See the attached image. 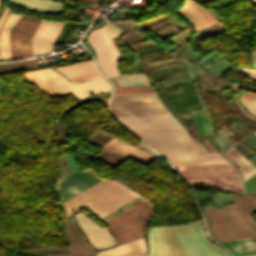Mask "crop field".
<instances>
[{"label": "crop field", "instance_id": "obj_1", "mask_svg": "<svg viewBox=\"0 0 256 256\" xmlns=\"http://www.w3.org/2000/svg\"><path fill=\"white\" fill-rule=\"evenodd\" d=\"M148 235V256H229L205 238L201 221L174 227H152Z\"/></svg>", "mask_w": 256, "mask_h": 256}, {"label": "crop field", "instance_id": "obj_2", "mask_svg": "<svg viewBox=\"0 0 256 256\" xmlns=\"http://www.w3.org/2000/svg\"><path fill=\"white\" fill-rule=\"evenodd\" d=\"M231 202L235 203L220 210L203 208L212 237L219 242L255 237L256 224L250 216L256 212V193L231 194Z\"/></svg>", "mask_w": 256, "mask_h": 256}, {"label": "crop field", "instance_id": "obj_3", "mask_svg": "<svg viewBox=\"0 0 256 256\" xmlns=\"http://www.w3.org/2000/svg\"><path fill=\"white\" fill-rule=\"evenodd\" d=\"M137 196L115 181L102 180L63 206L67 216L84 207L100 218Z\"/></svg>", "mask_w": 256, "mask_h": 256}, {"label": "crop field", "instance_id": "obj_4", "mask_svg": "<svg viewBox=\"0 0 256 256\" xmlns=\"http://www.w3.org/2000/svg\"><path fill=\"white\" fill-rule=\"evenodd\" d=\"M23 78L51 96L64 95L70 92L76 98L81 99L111 90V85L100 75L68 81L51 68L27 72Z\"/></svg>", "mask_w": 256, "mask_h": 256}, {"label": "crop field", "instance_id": "obj_5", "mask_svg": "<svg viewBox=\"0 0 256 256\" xmlns=\"http://www.w3.org/2000/svg\"><path fill=\"white\" fill-rule=\"evenodd\" d=\"M152 211L153 207L144 199L105 223L123 244L142 237L141 231Z\"/></svg>", "mask_w": 256, "mask_h": 256}, {"label": "crop field", "instance_id": "obj_6", "mask_svg": "<svg viewBox=\"0 0 256 256\" xmlns=\"http://www.w3.org/2000/svg\"><path fill=\"white\" fill-rule=\"evenodd\" d=\"M110 109L114 116L169 113L156 93L114 96Z\"/></svg>", "mask_w": 256, "mask_h": 256}, {"label": "crop field", "instance_id": "obj_7", "mask_svg": "<svg viewBox=\"0 0 256 256\" xmlns=\"http://www.w3.org/2000/svg\"><path fill=\"white\" fill-rule=\"evenodd\" d=\"M88 41L96 51L98 56L97 63L105 75L110 76L118 74L116 65L119 62L120 54L103 27L92 31L88 36Z\"/></svg>", "mask_w": 256, "mask_h": 256}, {"label": "crop field", "instance_id": "obj_8", "mask_svg": "<svg viewBox=\"0 0 256 256\" xmlns=\"http://www.w3.org/2000/svg\"><path fill=\"white\" fill-rule=\"evenodd\" d=\"M40 23L41 20L21 16L9 37L12 58L33 56L31 39Z\"/></svg>", "mask_w": 256, "mask_h": 256}, {"label": "crop field", "instance_id": "obj_9", "mask_svg": "<svg viewBox=\"0 0 256 256\" xmlns=\"http://www.w3.org/2000/svg\"><path fill=\"white\" fill-rule=\"evenodd\" d=\"M100 180L91 170L69 173L56 183V190L62 202H65Z\"/></svg>", "mask_w": 256, "mask_h": 256}, {"label": "crop field", "instance_id": "obj_10", "mask_svg": "<svg viewBox=\"0 0 256 256\" xmlns=\"http://www.w3.org/2000/svg\"><path fill=\"white\" fill-rule=\"evenodd\" d=\"M129 130L182 127L171 114L115 117Z\"/></svg>", "mask_w": 256, "mask_h": 256}, {"label": "crop field", "instance_id": "obj_11", "mask_svg": "<svg viewBox=\"0 0 256 256\" xmlns=\"http://www.w3.org/2000/svg\"><path fill=\"white\" fill-rule=\"evenodd\" d=\"M65 235L68 239L72 252L51 256H95L96 252L89 246L80 232L77 230L73 216L64 220Z\"/></svg>", "mask_w": 256, "mask_h": 256}, {"label": "crop field", "instance_id": "obj_12", "mask_svg": "<svg viewBox=\"0 0 256 256\" xmlns=\"http://www.w3.org/2000/svg\"><path fill=\"white\" fill-rule=\"evenodd\" d=\"M175 12L180 17L184 18L190 25H192L195 30L218 22L202 7L190 0H185V4Z\"/></svg>", "mask_w": 256, "mask_h": 256}, {"label": "crop field", "instance_id": "obj_13", "mask_svg": "<svg viewBox=\"0 0 256 256\" xmlns=\"http://www.w3.org/2000/svg\"><path fill=\"white\" fill-rule=\"evenodd\" d=\"M75 218L81 225L90 242L96 248H105L115 244L106 228L98 227L90 219H88L85 215L81 213L76 214Z\"/></svg>", "mask_w": 256, "mask_h": 256}, {"label": "crop field", "instance_id": "obj_14", "mask_svg": "<svg viewBox=\"0 0 256 256\" xmlns=\"http://www.w3.org/2000/svg\"><path fill=\"white\" fill-rule=\"evenodd\" d=\"M102 149H105V150H108V151H111V152H114L117 154H121L124 156H128L146 166L150 162H152L155 158H157V157L147 153L146 151H144L136 146L133 147L115 137L112 140H110L105 146H103Z\"/></svg>", "mask_w": 256, "mask_h": 256}, {"label": "crop field", "instance_id": "obj_15", "mask_svg": "<svg viewBox=\"0 0 256 256\" xmlns=\"http://www.w3.org/2000/svg\"><path fill=\"white\" fill-rule=\"evenodd\" d=\"M13 4L24 7L33 12L47 15H59L63 5L52 0H9Z\"/></svg>", "mask_w": 256, "mask_h": 256}, {"label": "crop field", "instance_id": "obj_16", "mask_svg": "<svg viewBox=\"0 0 256 256\" xmlns=\"http://www.w3.org/2000/svg\"><path fill=\"white\" fill-rule=\"evenodd\" d=\"M8 13V8L5 7L1 17H0V27L3 24ZM20 16L9 14L2 31L0 33V59L11 58L8 35L11 28L17 22Z\"/></svg>", "mask_w": 256, "mask_h": 256}, {"label": "crop field", "instance_id": "obj_17", "mask_svg": "<svg viewBox=\"0 0 256 256\" xmlns=\"http://www.w3.org/2000/svg\"><path fill=\"white\" fill-rule=\"evenodd\" d=\"M114 82L116 83L117 86L149 84L147 78L121 79V80H114ZM149 92H155L150 85L125 86V87H116L115 95L149 93Z\"/></svg>", "mask_w": 256, "mask_h": 256}, {"label": "crop field", "instance_id": "obj_18", "mask_svg": "<svg viewBox=\"0 0 256 256\" xmlns=\"http://www.w3.org/2000/svg\"><path fill=\"white\" fill-rule=\"evenodd\" d=\"M57 69L61 71L69 80L99 74L92 60L82 62V63L72 64V65L57 67Z\"/></svg>", "mask_w": 256, "mask_h": 256}, {"label": "crop field", "instance_id": "obj_19", "mask_svg": "<svg viewBox=\"0 0 256 256\" xmlns=\"http://www.w3.org/2000/svg\"><path fill=\"white\" fill-rule=\"evenodd\" d=\"M225 156L239 166L243 180L256 173V167L253 166L242 154L234 147L224 152Z\"/></svg>", "mask_w": 256, "mask_h": 256}, {"label": "crop field", "instance_id": "obj_20", "mask_svg": "<svg viewBox=\"0 0 256 256\" xmlns=\"http://www.w3.org/2000/svg\"><path fill=\"white\" fill-rule=\"evenodd\" d=\"M223 244H225L235 256L256 253V238L223 242Z\"/></svg>", "mask_w": 256, "mask_h": 256}, {"label": "crop field", "instance_id": "obj_21", "mask_svg": "<svg viewBox=\"0 0 256 256\" xmlns=\"http://www.w3.org/2000/svg\"><path fill=\"white\" fill-rule=\"evenodd\" d=\"M179 89L180 90L162 95V98L165 100L166 103H169L177 99L198 95L195 83L191 85L179 87Z\"/></svg>", "mask_w": 256, "mask_h": 256}, {"label": "crop field", "instance_id": "obj_22", "mask_svg": "<svg viewBox=\"0 0 256 256\" xmlns=\"http://www.w3.org/2000/svg\"><path fill=\"white\" fill-rule=\"evenodd\" d=\"M34 67H40V64L37 62L36 59L18 63H4L0 64V73L23 70Z\"/></svg>", "mask_w": 256, "mask_h": 256}, {"label": "crop field", "instance_id": "obj_23", "mask_svg": "<svg viewBox=\"0 0 256 256\" xmlns=\"http://www.w3.org/2000/svg\"><path fill=\"white\" fill-rule=\"evenodd\" d=\"M175 67H179V65L165 67V68L156 69V70H151L150 73L157 72V71H162V70H166V69H170V68H175ZM184 72H185L184 69L182 67H179V68H175V69H170V70H166V71H162V72L153 73L151 75L154 79H156V78L170 76V75L184 73ZM185 75H188V74L184 73V74L165 77V78H161V79H157V80H163V79L174 78V77L185 76Z\"/></svg>", "mask_w": 256, "mask_h": 256}, {"label": "crop field", "instance_id": "obj_24", "mask_svg": "<svg viewBox=\"0 0 256 256\" xmlns=\"http://www.w3.org/2000/svg\"><path fill=\"white\" fill-rule=\"evenodd\" d=\"M199 113H200L201 118H202L203 129H204L205 133H209L210 132V130H209V119L207 117V114L204 111V109L199 110ZM191 115L194 119V124H195L196 128L198 129L199 133L203 135L204 133L202 131V127H201V124H200L198 114L196 112H193V113H191Z\"/></svg>", "mask_w": 256, "mask_h": 256}, {"label": "crop field", "instance_id": "obj_25", "mask_svg": "<svg viewBox=\"0 0 256 256\" xmlns=\"http://www.w3.org/2000/svg\"><path fill=\"white\" fill-rule=\"evenodd\" d=\"M247 92V91H246ZM241 103L253 115H256V94L247 92L240 96Z\"/></svg>", "mask_w": 256, "mask_h": 256}, {"label": "crop field", "instance_id": "obj_26", "mask_svg": "<svg viewBox=\"0 0 256 256\" xmlns=\"http://www.w3.org/2000/svg\"><path fill=\"white\" fill-rule=\"evenodd\" d=\"M76 26L77 24L66 23L63 30L61 31L59 36L56 38L54 43L64 44L65 42H67L70 35L75 30Z\"/></svg>", "mask_w": 256, "mask_h": 256}, {"label": "crop field", "instance_id": "obj_27", "mask_svg": "<svg viewBox=\"0 0 256 256\" xmlns=\"http://www.w3.org/2000/svg\"><path fill=\"white\" fill-rule=\"evenodd\" d=\"M191 98H193V97H191ZM185 99H189V98H185ZM185 99H181V100H185ZM181 100H178V101H181ZM198 100H200L199 97L193 98V99H189V100H185V101H181V102L174 101V102H177V103L171 102L173 104H169V107L171 108L173 106H177V105H181V104H185V103H190V102H194V101H198ZM201 104H202L201 101H199V102H195V103H190V104H185V105L173 107L172 109L173 110H179V109L193 107V106H197V105H201Z\"/></svg>", "mask_w": 256, "mask_h": 256}, {"label": "crop field", "instance_id": "obj_28", "mask_svg": "<svg viewBox=\"0 0 256 256\" xmlns=\"http://www.w3.org/2000/svg\"><path fill=\"white\" fill-rule=\"evenodd\" d=\"M163 48H164V46H160V47L148 48V49H143V50H137L136 52H137V54H139V53L149 52V51L163 49ZM166 54L167 53L165 50L153 52V53H149V54L139 55V56H137V60L156 57V56H162V55H166Z\"/></svg>", "mask_w": 256, "mask_h": 256}, {"label": "crop field", "instance_id": "obj_29", "mask_svg": "<svg viewBox=\"0 0 256 256\" xmlns=\"http://www.w3.org/2000/svg\"><path fill=\"white\" fill-rule=\"evenodd\" d=\"M142 199H144V198L139 196L100 219L105 222V221L109 220L110 218L114 217L115 215L119 214L120 212L124 211L125 209L129 208L130 206L134 205L135 203L139 202Z\"/></svg>", "mask_w": 256, "mask_h": 256}, {"label": "crop field", "instance_id": "obj_30", "mask_svg": "<svg viewBox=\"0 0 256 256\" xmlns=\"http://www.w3.org/2000/svg\"><path fill=\"white\" fill-rule=\"evenodd\" d=\"M252 56H253L254 67H256V52H252ZM238 72L250 79L256 80V69L241 67L238 69Z\"/></svg>", "mask_w": 256, "mask_h": 256}, {"label": "crop field", "instance_id": "obj_31", "mask_svg": "<svg viewBox=\"0 0 256 256\" xmlns=\"http://www.w3.org/2000/svg\"><path fill=\"white\" fill-rule=\"evenodd\" d=\"M104 29L107 31V33L109 34V36L112 38V40H116L118 39L122 34H124V32H122L120 29H118L115 25H113L112 23L107 24L105 26H103ZM105 31V32H106Z\"/></svg>", "mask_w": 256, "mask_h": 256}, {"label": "crop field", "instance_id": "obj_32", "mask_svg": "<svg viewBox=\"0 0 256 256\" xmlns=\"http://www.w3.org/2000/svg\"><path fill=\"white\" fill-rule=\"evenodd\" d=\"M218 58H220V57L215 51V52L211 53L210 55H208L207 57L200 60L197 64L201 65L202 67H204L206 69L212 62H214Z\"/></svg>", "mask_w": 256, "mask_h": 256}, {"label": "crop field", "instance_id": "obj_33", "mask_svg": "<svg viewBox=\"0 0 256 256\" xmlns=\"http://www.w3.org/2000/svg\"><path fill=\"white\" fill-rule=\"evenodd\" d=\"M232 86H233V90H234V92H235L236 105L238 106V108L242 111V113H243L246 117H248V118H250V119L256 121L255 118L251 117L250 115H248V114L243 110V108L240 106L239 101H238L237 87H245V86H241V85H232ZM247 88H249V87H247ZM251 89H253V88H251ZM255 90H256V89H255Z\"/></svg>", "mask_w": 256, "mask_h": 256}, {"label": "crop field", "instance_id": "obj_34", "mask_svg": "<svg viewBox=\"0 0 256 256\" xmlns=\"http://www.w3.org/2000/svg\"><path fill=\"white\" fill-rule=\"evenodd\" d=\"M217 137H218L219 141L221 142L223 149H226V148H228V147H230V146L234 145V143L230 142V141H229V140H227L224 136H222V137H223V139L225 140V142H226V143H227V145H228V147H227V145H226V143L224 142V140L222 139V137H221V135H220V132H219V131H218V133H217Z\"/></svg>", "mask_w": 256, "mask_h": 256}, {"label": "crop field", "instance_id": "obj_35", "mask_svg": "<svg viewBox=\"0 0 256 256\" xmlns=\"http://www.w3.org/2000/svg\"><path fill=\"white\" fill-rule=\"evenodd\" d=\"M204 137H206L208 140H210L217 148V150H219L221 152V146L219 145V143L216 141V139L209 133L204 135Z\"/></svg>", "mask_w": 256, "mask_h": 256}, {"label": "crop field", "instance_id": "obj_36", "mask_svg": "<svg viewBox=\"0 0 256 256\" xmlns=\"http://www.w3.org/2000/svg\"><path fill=\"white\" fill-rule=\"evenodd\" d=\"M172 61H173L172 59H166V60H159V61L145 63V64H139L136 66L156 65V64H162V63H167V62H172Z\"/></svg>", "mask_w": 256, "mask_h": 256}, {"label": "crop field", "instance_id": "obj_37", "mask_svg": "<svg viewBox=\"0 0 256 256\" xmlns=\"http://www.w3.org/2000/svg\"><path fill=\"white\" fill-rule=\"evenodd\" d=\"M186 66H187V68L189 69V71H190V73L192 74V76L198 74L197 70L192 66L191 63L187 64Z\"/></svg>", "mask_w": 256, "mask_h": 256}, {"label": "crop field", "instance_id": "obj_38", "mask_svg": "<svg viewBox=\"0 0 256 256\" xmlns=\"http://www.w3.org/2000/svg\"><path fill=\"white\" fill-rule=\"evenodd\" d=\"M187 77H190V76H187ZM182 78H186V77H181V78H176V79H171V80H165V81L178 80V79H182ZM165 81H161V82H165ZM172 82H175V81H172ZM172 82H165V83H172ZM165 83H162V84H165ZM172 84H173V83H172ZM165 85H169V84H165ZM165 85H162V86H165ZM174 86H176V85L173 84V85L165 86L164 88L174 87Z\"/></svg>", "mask_w": 256, "mask_h": 256}, {"label": "crop field", "instance_id": "obj_39", "mask_svg": "<svg viewBox=\"0 0 256 256\" xmlns=\"http://www.w3.org/2000/svg\"><path fill=\"white\" fill-rule=\"evenodd\" d=\"M202 108H204L203 105L197 106V107H193V108H189V109H184L183 112L184 113H188V112H192V111L199 110V109H202Z\"/></svg>", "mask_w": 256, "mask_h": 256}, {"label": "crop field", "instance_id": "obj_40", "mask_svg": "<svg viewBox=\"0 0 256 256\" xmlns=\"http://www.w3.org/2000/svg\"><path fill=\"white\" fill-rule=\"evenodd\" d=\"M185 125H188L191 121L190 117L186 118L184 116L178 117Z\"/></svg>", "mask_w": 256, "mask_h": 256}, {"label": "crop field", "instance_id": "obj_41", "mask_svg": "<svg viewBox=\"0 0 256 256\" xmlns=\"http://www.w3.org/2000/svg\"><path fill=\"white\" fill-rule=\"evenodd\" d=\"M86 1H90V2L96 3L97 0H86Z\"/></svg>", "mask_w": 256, "mask_h": 256}, {"label": "crop field", "instance_id": "obj_42", "mask_svg": "<svg viewBox=\"0 0 256 256\" xmlns=\"http://www.w3.org/2000/svg\"><path fill=\"white\" fill-rule=\"evenodd\" d=\"M197 67V66H196ZM198 68V70L202 73V72H204L202 69H200L199 67H197Z\"/></svg>", "mask_w": 256, "mask_h": 256}, {"label": "crop field", "instance_id": "obj_43", "mask_svg": "<svg viewBox=\"0 0 256 256\" xmlns=\"http://www.w3.org/2000/svg\"><path fill=\"white\" fill-rule=\"evenodd\" d=\"M245 256H256V254H251V255H245Z\"/></svg>", "mask_w": 256, "mask_h": 256}, {"label": "crop field", "instance_id": "obj_44", "mask_svg": "<svg viewBox=\"0 0 256 256\" xmlns=\"http://www.w3.org/2000/svg\"><path fill=\"white\" fill-rule=\"evenodd\" d=\"M254 4H256V0H251Z\"/></svg>", "mask_w": 256, "mask_h": 256}, {"label": "crop field", "instance_id": "obj_45", "mask_svg": "<svg viewBox=\"0 0 256 256\" xmlns=\"http://www.w3.org/2000/svg\"><path fill=\"white\" fill-rule=\"evenodd\" d=\"M252 134L256 135V132H254V133H252Z\"/></svg>", "mask_w": 256, "mask_h": 256}, {"label": "crop field", "instance_id": "obj_46", "mask_svg": "<svg viewBox=\"0 0 256 256\" xmlns=\"http://www.w3.org/2000/svg\"><path fill=\"white\" fill-rule=\"evenodd\" d=\"M212 130V129H211ZM213 133V132H212Z\"/></svg>", "mask_w": 256, "mask_h": 256}, {"label": "crop field", "instance_id": "obj_47", "mask_svg": "<svg viewBox=\"0 0 256 256\" xmlns=\"http://www.w3.org/2000/svg\"><path fill=\"white\" fill-rule=\"evenodd\" d=\"M145 256V255H144Z\"/></svg>", "mask_w": 256, "mask_h": 256}, {"label": "crop field", "instance_id": "obj_48", "mask_svg": "<svg viewBox=\"0 0 256 256\" xmlns=\"http://www.w3.org/2000/svg\"><path fill=\"white\" fill-rule=\"evenodd\" d=\"M1 1V0H0Z\"/></svg>", "mask_w": 256, "mask_h": 256}]
</instances>
